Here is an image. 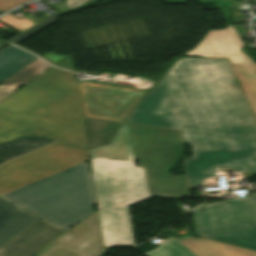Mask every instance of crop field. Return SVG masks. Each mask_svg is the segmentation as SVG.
<instances>
[{
    "mask_svg": "<svg viewBox=\"0 0 256 256\" xmlns=\"http://www.w3.org/2000/svg\"><path fill=\"white\" fill-rule=\"evenodd\" d=\"M227 59L180 57L124 122L181 131L189 189L229 167L256 173V121Z\"/></svg>",
    "mask_w": 256,
    "mask_h": 256,
    "instance_id": "1",
    "label": "crop field"
},
{
    "mask_svg": "<svg viewBox=\"0 0 256 256\" xmlns=\"http://www.w3.org/2000/svg\"><path fill=\"white\" fill-rule=\"evenodd\" d=\"M104 247L134 244L128 206L152 197L187 195L184 177L168 170L181 158L178 131L122 123L109 145L89 150Z\"/></svg>",
    "mask_w": 256,
    "mask_h": 256,
    "instance_id": "2",
    "label": "crop field"
},
{
    "mask_svg": "<svg viewBox=\"0 0 256 256\" xmlns=\"http://www.w3.org/2000/svg\"><path fill=\"white\" fill-rule=\"evenodd\" d=\"M24 134L88 148L74 73L52 67L0 103V142Z\"/></svg>",
    "mask_w": 256,
    "mask_h": 256,
    "instance_id": "3",
    "label": "crop field"
},
{
    "mask_svg": "<svg viewBox=\"0 0 256 256\" xmlns=\"http://www.w3.org/2000/svg\"><path fill=\"white\" fill-rule=\"evenodd\" d=\"M2 196L61 229L81 222L96 203L85 162Z\"/></svg>",
    "mask_w": 256,
    "mask_h": 256,
    "instance_id": "4",
    "label": "crop field"
},
{
    "mask_svg": "<svg viewBox=\"0 0 256 256\" xmlns=\"http://www.w3.org/2000/svg\"><path fill=\"white\" fill-rule=\"evenodd\" d=\"M195 235L256 250V194L192 211Z\"/></svg>",
    "mask_w": 256,
    "mask_h": 256,
    "instance_id": "5",
    "label": "crop field"
},
{
    "mask_svg": "<svg viewBox=\"0 0 256 256\" xmlns=\"http://www.w3.org/2000/svg\"><path fill=\"white\" fill-rule=\"evenodd\" d=\"M88 150L58 142L0 165V195L86 161Z\"/></svg>",
    "mask_w": 256,
    "mask_h": 256,
    "instance_id": "6",
    "label": "crop field"
},
{
    "mask_svg": "<svg viewBox=\"0 0 256 256\" xmlns=\"http://www.w3.org/2000/svg\"><path fill=\"white\" fill-rule=\"evenodd\" d=\"M243 43L232 25L209 30L197 47L184 56L228 58L256 115V65L241 53Z\"/></svg>",
    "mask_w": 256,
    "mask_h": 256,
    "instance_id": "7",
    "label": "crop field"
},
{
    "mask_svg": "<svg viewBox=\"0 0 256 256\" xmlns=\"http://www.w3.org/2000/svg\"><path fill=\"white\" fill-rule=\"evenodd\" d=\"M79 89L84 116L118 121H122L146 93L85 82H79Z\"/></svg>",
    "mask_w": 256,
    "mask_h": 256,
    "instance_id": "8",
    "label": "crop field"
},
{
    "mask_svg": "<svg viewBox=\"0 0 256 256\" xmlns=\"http://www.w3.org/2000/svg\"><path fill=\"white\" fill-rule=\"evenodd\" d=\"M54 243L88 256H101L111 248H103L97 212L59 237Z\"/></svg>",
    "mask_w": 256,
    "mask_h": 256,
    "instance_id": "9",
    "label": "crop field"
},
{
    "mask_svg": "<svg viewBox=\"0 0 256 256\" xmlns=\"http://www.w3.org/2000/svg\"><path fill=\"white\" fill-rule=\"evenodd\" d=\"M64 232L38 221L0 248V256H30Z\"/></svg>",
    "mask_w": 256,
    "mask_h": 256,
    "instance_id": "10",
    "label": "crop field"
},
{
    "mask_svg": "<svg viewBox=\"0 0 256 256\" xmlns=\"http://www.w3.org/2000/svg\"><path fill=\"white\" fill-rule=\"evenodd\" d=\"M38 220L0 198V247Z\"/></svg>",
    "mask_w": 256,
    "mask_h": 256,
    "instance_id": "11",
    "label": "crop field"
},
{
    "mask_svg": "<svg viewBox=\"0 0 256 256\" xmlns=\"http://www.w3.org/2000/svg\"><path fill=\"white\" fill-rule=\"evenodd\" d=\"M180 242L197 256H256V251L202 237H191Z\"/></svg>",
    "mask_w": 256,
    "mask_h": 256,
    "instance_id": "12",
    "label": "crop field"
},
{
    "mask_svg": "<svg viewBox=\"0 0 256 256\" xmlns=\"http://www.w3.org/2000/svg\"><path fill=\"white\" fill-rule=\"evenodd\" d=\"M52 67L51 65L45 63L41 59H36L5 81L3 85H0V101L7 95L18 89L20 86L27 84L38 75ZM8 97V96H7Z\"/></svg>",
    "mask_w": 256,
    "mask_h": 256,
    "instance_id": "13",
    "label": "crop field"
},
{
    "mask_svg": "<svg viewBox=\"0 0 256 256\" xmlns=\"http://www.w3.org/2000/svg\"><path fill=\"white\" fill-rule=\"evenodd\" d=\"M89 148L108 144L121 122L84 117Z\"/></svg>",
    "mask_w": 256,
    "mask_h": 256,
    "instance_id": "14",
    "label": "crop field"
},
{
    "mask_svg": "<svg viewBox=\"0 0 256 256\" xmlns=\"http://www.w3.org/2000/svg\"><path fill=\"white\" fill-rule=\"evenodd\" d=\"M35 58L12 45L0 51V82Z\"/></svg>",
    "mask_w": 256,
    "mask_h": 256,
    "instance_id": "15",
    "label": "crop field"
},
{
    "mask_svg": "<svg viewBox=\"0 0 256 256\" xmlns=\"http://www.w3.org/2000/svg\"><path fill=\"white\" fill-rule=\"evenodd\" d=\"M52 141L54 140L25 136L12 142L0 144V163Z\"/></svg>",
    "mask_w": 256,
    "mask_h": 256,
    "instance_id": "16",
    "label": "crop field"
},
{
    "mask_svg": "<svg viewBox=\"0 0 256 256\" xmlns=\"http://www.w3.org/2000/svg\"><path fill=\"white\" fill-rule=\"evenodd\" d=\"M143 254L145 256H194L173 238L162 242L159 248Z\"/></svg>",
    "mask_w": 256,
    "mask_h": 256,
    "instance_id": "17",
    "label": "crop field"
},
{
    "mask_svg": "<svg viewBox=\"0 0 256 256\" xmlns=\"http://www.w3.org/2000/svg\"><path fill=\"white\" fill-rule=\"evenodd\" d=\"M57 20H59V13L56 11L52 15L47 17L46 19L36 23L35 25H33L30 28L26 29L25 31L21 32L20 35L16 36L15 38H13L9 41L17 44Z\"/></svg>",
    "mask_w": 256,
    "mask_h": 256,
    "instance_id": "18",
    "label": "crop field"
},
{
    "mask_svg": "<svg viewBox=\"0 0 256 256\" xmlns=\"http://www.w3.org/2000/svg\"><path fill=\"white\" fill-rule=\"evenodd\" d=\"M35 256H85V255L52 243L46 248H44L42 251L37 253Z\"/></svg>",
    "mask_w": 256,
    "mask_h": 256,
    "instance_id": "19",
    "label": "crop field"
},
{
    "mask_svg": "<svg viewBox=\"0 0 256 256\" xmlns=\"http://www.w3.org/2000/svg\"><path fill=\"white\" fill-rule=\"evenodd\" d=\"M0 21L18 32H21L26 28L30 27L31 25L35 24L25 17L18 19L10 13L0 18Z\"/></svg>",
    "mask_w": 256,
    "mask_h": 256,
    "instance_id": "20",
    "label": "crop field"
},
{
    "mask_svg": "<svg viewBox=\"0 0 256 256\" xmlns=\"http://www.w3.org/2000/svg\"><path fill=\"white\" fill-rule=\"evenodd\" d=\"M26 1L29 0H0V10L5 12Z\"/></svg>",
    "mask_w": 256,
    "mask_h": 256,
    "instance_id": "21",
    "label": "crop field"
},
{
    "mask_svg": "<svg viewBox=\"0 0 256 256\" xmlns=\"http://www.w3.org/2000/svg\"><path fill=\"white\" fill-rule=\"evenodd\" d=\"M85 2H88V0H66L67 9L69 11Z\"/></svg>",
    "mask_w": 256,
    "mask_h": 256,
    "instance_id": "22",
    "label": "crop field"
},
{
    "mask_svg": "<svg viewBox=\"0 0 256 256\" xmlns=\"http://www.w3.org/2000/svg\"><path fill=\"white\" fill-rule=\"evenodd\" d=\"M56 66L74 70L69 56L64 60L60 61L59 63H57Z\"/></svg>",
    "mask_w": 256,
    "mask_h": 256,
    "instance_id": "23",
    "label": "crop field"
},
{
    "mask_svg": "<svg viewBox=\"0 0 256 256\" xmlns=\"http://www.w3.org/2000/svg\"><path fill=\"white\" fill-rule=\"evenodd\" d=\"M90 1H92V0H90Z\"/></svg>",
    "mask_w": 256,
    "mask_h": 256,
    "instance_id": "24",
    "label": "crop field"
}]
</instances>
